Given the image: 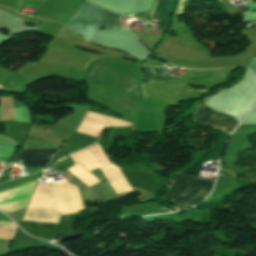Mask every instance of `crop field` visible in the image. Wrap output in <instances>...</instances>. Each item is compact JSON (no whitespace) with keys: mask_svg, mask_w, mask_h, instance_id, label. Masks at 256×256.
Segmentation results:
<instances>
[{"mask_svg":"<svg viewBox=\"0 0 256 256\" xmlns=\"http://www.w3.org/2000/svg\"><path fill=\"white\" fill-rule=\"evenodd\" d=\"M84 209L77 187L67 183H36L21 221L58 224L62 215Z\"/></svg>","mask_w":256,"mask_h":256,"instance_id":"crop-field-1","label":"crop field"},{"mask_svg":"<svg viewBox=\"0 0 256 256\" xmlns=\"http://www.w3.org/2000/svg\"><path fill=\"white\" fill-rule=\"evenodd\" d=\"M76 165L66 169L88 187L100 182L88 172L100 168L117 195L132 191L119 168L111 165L98 145L69 155Z\"/></svg>","mask_w":256,"mask_h":256,"instance_id":"crop-field-2","label":"crop field"},{"mask_svg":"<svg viewBox=\"0 0 256 256\" xmlns=\"http://www.w3.org/2000/svg\"><path fill=\"white\" fill-rule=\"evenodd\" d=\"M170 180L174 185L165 193L164 199L181 209L206 198L214 183L212 180L196 179L179 172Z\"/></svg>","mask_w":256,"mask_h":256,"instance_id":"crop-field-3","label":"crop field"},{"mask_svg":"<svg viewBox=\"0 0 256 256\" xmlns=\"http://www.w3.org/2000/svg\"><path fill=\"white\" fill-rule=\"evenodd\" d=\"M66 25L83 36L86 40H90L92 36L102 28H119L117 15L85 2Z\"/></svg>","mask_w":256,"mask_h":256,"instance_id":"crop-field-4","label":"crop field"},{"mask_svg":"<svg viewBox=\"0 0 256 256\" xmlns=\"http://www.w3.org/2000/svg\"><path fill=\"white\" fill-rule=\"evenodd\" d=\"M92 70V69H91ZM91 73L102 79L140 97L137 79L127 73L103 62L99 61Z\"/></svg>","mask_w":256,"mask_h":256,"instance_id":"crop-field-5","label":"crop field"},{"mask_svg":"<svg viewBox=\"0 0 256 256\" xmlns=\"http://www.w3.org/2000/svg\"><path fill=\"white\" fill-rule=\"evenodd\" d=\"M192 120L212 126L230 135L238 122L231 117L223 116L209 107L199 104L197 111L191 116Z\"/></svg>","mask_w":256,"mask_h":256,"instance_id":"crop-field-6","label":"crop field"},{"mask_svg":"<svg viewBox=\"0 0 256 256\" xmlns=\"http://www.w3.org/2000/svg\"><path fill=\"white\" fill-rule=\"evenodd\" d=\"M131 123L123 122L117 119L99 115L93 112H87L81 123L76 129V132L83 133L88 136L98 137L100 131L112 126H130Z\"/></svg>","mask_w":256,"mask_h":256,"instance_id":"crop-field-7","label":"crop field"},{"mask_svg":"<svg viewBox=\"0 0 256 256\" xmlns=\"http://www.w3.org/2000/svg\"><path fill=\"white\" fill-rule=\"evenodd\" d=\"M58 150H23L13 160H23L26 166L33 168L45 167Z\"/></svg>","mask_w":256,"mask_h":256,"instance_id":"crop-field-8","label":"crop field"},{"mask_svg":"<svg viewBox=\"0 0 256 256\" xmlns=\"http://www.w3.org/2000/svg\"><path fill=\"white\" fill-rule=\"evenodd\" d=\"M177 0H158L151 19L159 20L155 30L166 31Z\"/></svg>","mask_w":256,"mask_h":256,"instance_id":"crop-field-9","label":"crop field"},{"mask_svg":"<svg viewBox=\"0 0 256 256\" xmlns=\"http://www.w3.org/2000/svg\"><path fill=\"white\" fill-rule=\"evenodd\" d=\"M3 120H14L12 97H0Z\"/></svg>","mask_w":256,"mask_h":256,"instance_id":"crop-field-10","label":"crop field"},{"mask_svg":"<svg viewBox=\"0 0 256 256\" xmlns=\"http://www.w3.org/2000/svg\"><path fill=\"white\" fill-rule=\"evenodd\" d=\"M15 230L9 228H1L0 227V239L11 240Z\"/></svg>","mask_w":256,"mask_h":256,"instance_id":"crop-field-11","label":"crop field"},{"mask_svg":"<svg viewBox=\"0 0 256 256\" xmlns=\"http://www.w3.org/2000/svg\"><path fill=\"white\" fill-rule=\"evenodd\" d=\"M14 152L15 149L0 145V153L12 156Z\"/></svg>","mask_w":256,"mask_h":256,"instance_id":"crop-field-12","label":"crop field"},{"mask_svg":"<svg viewBox=\"0 0 256 256\" xmlns=\"http://www.w3.org/2000/svg\"><path fill=\"white\" fill-rule=\"evenodd\" d=\"M228 10L231 15H234V14H239V13H243L246 11H250L251 9L249 6H247V7L241 8V9H228Z\"/></svg>","mask_w":256,"mask_h":256,"instance_id":"crop-field-13","label":"crop field"},{"mask_svg":"<svg viewBox=\"0 0 256 256\" xmlns=\"http://www.w3.org/2000/svg\"><path fill=\"white\" fill-rule=\"evenodd\" d=\"M172 182H170L169 180L165 183L168 187L170 186Z\"/></svg>","mask_w":256,"mask_h":256,"instance_id":"crop-field-14","label":"crop field"},{"mask_svg":"<svg viewBox=\"0 0 256 256\" xmlns=\"http://www.w3.org/2000/svg\"><path fill=\"white\" fill-rule=\"evenodd\" d=\"M0 89H1V87H0Z\"/></svg>","mask_w":256,"mask_h":256,"instance_id":"crop-field-15","label":"crop field"},{"mask_svg":"<svg viewBox=\"0 0 256 256\" xmlns=\"http://www.w3.org/2000/svg\"><path fill=\"white\" fill-rule=\"evenodd\" d=\"M232 173V172H231Z\"/></svg>","mask_w":256,"mask_h":256,"instance_id":"crop-field-16","label":"crop field"}]
</instances>
